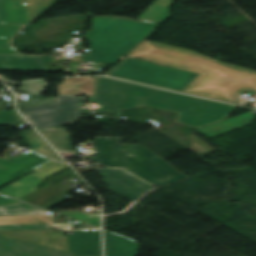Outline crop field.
<instances>
[{
	"label": "crop field",
	"mask_w": 256,
	"mask_h": 256,
	"mask_svg": "<svg viewBox=\"0 0 256 256\" xmlns=\"http://www.w3.org/2000/svg\"><path fill=\"white\" fill-rule=\"evenodd\" d=\"M95 77L64 79L58 85L59 94L94 96Z\"/></svg>",
	"instance_id": "16"
},
{
	"label": "crop field",
	"mask_w": 256,
	"mask_h": 256,
	"mask_svg": "<svg viewBox=\"0 0 256 256\" xmlns=\"http://www.w3.org/2000/svg\"><path fill=\"white\" fill-rule=\"evenodd\" d=\"M133 99L137 100V107L146 106V104H147V102L144 101L146 99L144 97H136V96H134Z\"/></svg>",
	"instance_id": "26"
},
{
	"label": "crop field",
	"mask_w": 256,
	"mask_h": 256,
	"mask_svg": "<svg viewBox=\"0 0 256 256\" xmlns=\"http://www.w3.org/2000/svg\"><path fill=\"white\" fill-rule=\"evenodd\" d=\"M25 121H8V122H0V126L2 125H10L11 127L21 128L24 126Z\"/></svg>",
	"instance_id": "25"
},
{
	"label": "crop field",
	"mask_w": 256,
	"mask_h": 256,
	"mask_svg": "<svg viewBox=\"0 0 256 256\" xmlns=\"http://www.w3.org/2000/svg\"><path fill=\"white\" fill-rule=\"evenodd\" d=\"M49 161L33 151L13 161L0 159V185Z\"/></svg>",
	"instance_id": "11"
},
{
	"label": "crop field",
	"mask_w": 256,
	"mask_h": 256,
	"mask_svg": "<svg viewBox=\"0 0 256 256\" xmlns=\"http://www.w3.org/2000/svg\"><path fill=\"white\" fill-rule=\"evenodd\" d=\"M23 137L22 141L25 142L32 149L59 161L62 159L59 155L52 149V147L46 143L39 134L34 130L22 131L20 134Z\"/></svg>",
	"instance_id": "17"
},
{
	"label": "crop field",
	"mask_w": 256,
	"mask_h": 256,
	"mask_svg": "<svg viewBox=\"0 0 256 256\" xmlns=\"http://www.w3.org/2000/svg\"><path fill=\"white\" fill-rule=\"evenodd\" d=\"M8 120H24L16 110L8 111V112H0V121H8Z\"/></svg>",
	"instance_id": "24"
},
{
	"label": "crop field",
	"mask_w": 256,
	"mask_h": 256,
	"mask_svg": "<svg viewBox=\"0 0 256 256\" xmlns=\"http://www.w3.org/2000/svg\"><path fill=\"white\" fill-rule=\"evenodd\" d=\"M58 97L44 98L42 96L28 95V101L17 102L18 109L53 104L57 102Z\"/></svg>",
	"instance_id": "21"
},
{
	"label": "crop field",
	"mask_w": 256,
	"mask_h": 256,
	"mask_svg": "<svg viewBox=\"0 0 256 256\" xmlns=\"http://www.w3.org/2000/svg\"><path fill=\"white\" fill-rule=\"evenodd\" d=\"M58 151H74L64 128L38 129Z\"/></svg>",
	"instance_id": "19"
},
{
	"label": "crop field",
	"mask_w": 256,
	"mask_h": 256,
	"mask_svg": "<svg viewBox=\"0 0 256 256\" xmlns=\"http://www.w3.org/2000/svg\"><path fill=\"white\" fill-rule=\"evenodd\" d=\"M147 106L180 112L177 122L200 127L224 119L236 107L157 89Z\"/></svg>",
	"instance_id": "4"
},
{
	"label": "crop field",
	"mask_w": 256,
	"mask_h": 256,
	"mask_svg": "<svg viewBox=\"0 0 256 256\" xmlns=\"http://www.w3.org/2000/svg\"><path fill=\"white\" fill-rule=\"evenodd\" d=\"M105 256H136L140 244L121 234L104 230Z\"/></svg>",
	"instance_id": "14"
},
{
	"label": "crop field",
	"mask_w": 256,
	"mask_h": 256,
	"mask_svg": "<svg viewBox=\"0 0 256 256\" xmlns=\"http://www.w3.org/2000/svg\"><path fill=\"white\" fill-rule=\"evenodd\" d=\"M254 118L255 113L250 112L196 129L207 137L211 138L240 128L247 127L254 120Z\"/></svg>",
	"instance_id": "15"
},
{
	"label": "crop field",
	"mask_w": 256,
	"mask_h": 256,
	"mask_svg": "<svg viewBox=\"0 0 256 256\" xmlns=\"http://www.w3.org/2000/svg\"><path fill=\"white\" fill-rule=\"evenodd\" d=\"M120 138H97L95 160L108 166L124 168L160 187L189 178L142 145H119Z\"/></svg>",
	"instance_id": "3"
},
{
	"label": "crop field",
	"mask_w": 256,
	"mask_h": 256,
	"mask_svg": "<svg viewBox=\"0 0 256 256\" xmlns=\"http://www.w3.org/2000/svg\"><path fill=\"white\" fill-rule=\"evenodd\" d=\"M190 137L191 143L189 144L188 148L193 150L198 155L202 156L212 152H216V150H214L212 147H210L208 144L198 139L194 135L191 134Z\"/></svg>",
	"instance_id": "22"
},
{
	"label": "crop field",
	"mask_w": 256,
	"mask_h": 256,
	"mask_svg": "<svg viewBox=\"0 0 256 256\" xmlns=\"http://www.w3.org/2000/svg\"><path fill=\"white\" fill-rule=\"evenodd\" d=\"M97 171L111 191L133 202L152 187L123 170L97 169Z\"/></svg>",
	"instance_id": "9"
},
{
	"label": "crop field",
	"mask_w": 256,
	"mask_h": 256,
	"mask_svg": "<svg viewBox=\"0 0 256 256\" xmlns=\"http://www.w3.org/2000/svg\"><path fill=\"white\" fill-rule=\"evenodd\" d=\"M172 0H157L138 20L153 23H164L170 16L169 7Z\"/></svg>",
	"instance_id": "18"
},
{
	"label": "crop field",
	"mask_w": 256,
	"mask_h": 256,
	"mask_svg": "<svg viewBox=\"0 0 256 256\" xmlns=\"http://www.w3.org/2000/svg\"><path fill=\"white\" fill-rule=\"evenodd\" d=\"M155 90L110 78L96 77L95 97H90V101L101 104V109L97 111L118 113L120 117L121 109L136 107L132 93L138 92L137 96L149 97Z\"/></svg>",
	"instance_id": "7"
},
{
	"label": "crop field",
	"mask_w": 256,
	"mask_h": 256,
	"mask_svg": "<svg viewBox=\"0 0 256 256\" xmlns=\"http://www.w3.org/2000/svg\"><path fill=\"white\" fill-rule=\"evenodd\" d=\"M65 167H67V164L51 161L35 169L32 174L6 187L2 191L0 190L1 191L0 193L7 194L16 198H20L28 193L34 192L45 177Z\"/></svg>",
	"instance_id": "10"
},
{
	"label": "crop field",
	"mask_w": 256,
	"mask_h": 256,
	"mask_svg": "<svg viewBox=\"0 0 256 256\" xmlns=\"http://www.w3.org/2000/svg\"><path fill=\"white\" fill-rule=\"evenodd\" d=\"M156 26L120 17H93L92 31L86 33V39L90 41V55H83L82 61L117 63L148 37Z\"/></svg>",
	"instance_id": "2"
},
{
	"label": "crop field",
	"mask_w": 256,
	"mask_h": 256,
	"mask_svg": "<svg viewBox=\"0 0 256 256\" xmlns=\"http://www.w3.org/2000/svg\"><path fill=\"white\" fill-rule=\"evenodd\" d=\"M0 256H72L71 253L47 248L0 235Z\"/></svg>",
	"instance_id": "12"
},
{
	"label": "crop field",
	"mask_w": 256,
	"mask_h": 256,
	"mask_svg": "<svg viewBox=\"0 0 256 256\" xmlns=\"http://www.w3.org/2000/svg\"><path fill=\"white\" fill-rule=\"evenodd\" d=\"M0 80L2 81V82H4V83H10V84H17V83H15V82H12V81H9V80H7V79H5L4 77H2V76H0Z\"/></svg>",
	"instance_id": "28"
},
{
	"label": "crop field",
	"mask_w": 256,
	"mask_h": 256,
	"mask_svg": "<svg viewBox=\"0 0 256 256\" xmlns=\"http://www.w3.org/2000/svg\"><path fill=\"white\" fill-rule=\"evenodd\" d=\"M11 1L0 0V30L19 32L29 24L26 5L12 6ZM50 56H25L12 47H0V70L12 71H46V61Z\"/></svg>",
	"instance_id": "5"
},
{
	"label": "crop field",
	"mask_w": 256,
	"mask_h": 256,
	"mask_svg": "<svg viewBox=\"0 0 256 256\" xmlns=\"http://www.w3.org/2000/svg\"><path fill=\"white\" fill-rule=\"evenodd\" d=\"M30 21H34L43 12L56 3V0H26Z\"/></svg>",
	"instance_id": "20"
},
{
	"label": "crop field",
	"mask_w": 256,
	"mask_h": 256,
	"mask_svg": "<svg viewBox=\"0 0 256 256\" xmlns=\"http://www.w3.org/2000/svg\"><path fill=\"white\" fill-rule=\"evenodd\" d=\"M45 86H49V85L44 80L30 81V82L23 83L18 91H20V92L42 93V92H44L43 87H45Z\"/></svg>",
	"instance_id": "23"
},
{
	"label": "crop field",
	"mask_w": 256,
	"mask_h": 256,
	"mask_svg": "<svg viewBox=\"0 0 256 256\" xmlns=\"http://www.w3.org/2000/svg\"><path fill=\"white\" fill-rule=\"evenodd\" d=\"M107 75L182 92L199 74L124 58Z\"/></svg>",
	"instance_id": "6"
},
{
	"label": "crop field",
	"mask_w": 256,
	"mask_h": 256,
	"mask_svg": "<svg viewBox=\"0 0 256 256\" xmlns=\"http://www.w3.org/2000/svg\"><path fill=\"white\" fill-rule=\"evenodd\" d=\"M73 225H74V228H93L82 223H73Z\"/></svg>",
	"instance_id": "27"
},
{
	"label": "crop field",
	"mask_w": 256,
	"mask_h": 256,
	"mask_svg": "<svg viewBox=\"0 0 256 256\" xmlns=\"http://www.w3.org/2000/svg\"><path fill=\"white\" fill-rule=\"evenodd\" d=\"M13 5L21 4L20 2H12Z\"/></svg>",
	"instance_id": "29"
},
{
	"label": "crop field",
	"mask_w": 256,
	"mask_h": 256,
	"mask_svg": "<svg viewBox=\"0 0 256 256\" xmlns=\"http://www.w3.org/2000/svg\"><path fill=\"white\" fill-rule=\"evenodd\" d=\"M126 57L201 73L184 93L238 104L242 93L256 92V71L228 63L222 65V61L194 51L144 40Z\"/></svg>",
	"instance_id": "1"
},
{
	"label": "crop field",
	"mask_w": 256,
	"mask_h": 256,
	"mask_svg": "<svg viewBox=\"0 0 256 256\" xmlns=\"http://www.w3.org/2000/svg\"><path fill=\"white\" fill-rule=\"evenodd\" d=\"M67 239L73 256H102L100 230L76 231Z\"/></svg>",
	"instance_id": "13"
},
{
	"label": "crop field",
	"mask_w": 256,
	"mask_h": 256,
	"mask_svg": "<svg viewBox=\"0 0 256 256\" xmlns=\"http://www.w3.org/2000/svg\"><path fill=\"white\" fill-rule=\"evenodd\" d=\"M77 99L81 98L59 96L57 104L19 111L35 128L61 126L74 122L80 117L78 102L82 101Z\"/></svg>",
	"instance_id": "8"
}]
</instances>
